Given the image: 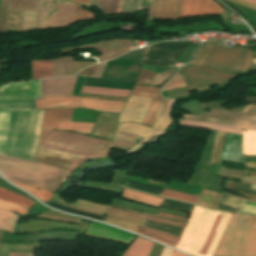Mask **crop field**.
Returning a JSON list of instances; mask_svg holds the SVG:
<instances>
[{"instance_id":"crop-field-1","label":"crop field","mask_w":256,"mask_h":256,"mask_svg":"<svg viewBox=\"0 0 256 256\" xmlns=\"http://www.w3.org/2000/svg\"><path fill=\"white\" fill-rule=\"evenodd\" d=\"M231 215L195 206L176 248L195 256H212Z\"/></svg>"},{"instance_id":"crop-field-2","label":"crop field","mask_w":256,"mask_h":256,"mask_svg":"<svg viewBox=\"0 0 256 256\" xmlns=\"http://www.w3.org/2000/svg\"><path fill=\"white\" fill-rule=\"evenodd\" d=\"M0 171L9 180L53 192L71 176L57 168L2 156Z\"/></svg>"},{"instance_id":"crop-field-3","label":"crop field","mask_w":256,"mask_h":256,"mask_svg":"<svg viewBox=\"0 0 256 256\" xmlns=\"http://www.w3.org/2000/svg\"><path fill=\"white\" fill-rule=\"evenodd\" d=\"M44 110L12 111L5 155L31 160Z\"/></svg>"},{"instance_id":"crop-field-4","label":"crop field","mask_w":256,"mask_h":256,"mask_svg":"<svg viewBox=\"0 0 256 256\" xmlns=\"http://www.w3.org/2000/svg\"><path fill=\"white\" fill-rule=\"evenodd\" d=\"M110 141L94 139L88 136L52 131L40 149L77 156L68 172H72L86 158L105 155Z\"/></svg>"},{"instance_id":"crop-field-5","label":"crop field","mask_w":256,"mask_h":256,"mask_svg":"<svg viewBox=\"0 0 256 256\" xmlns=\"http://www.w3.org/2000/svg\"><path fill=\"white\" fill-rule=\"evenodd\" d=\"M208 43H211L210 47H206ZM252 57L253 51L247 48H226L215 42H206L189 65L228 73H247Z\"/></svg>"},{"instance_id":"crop-field-6","label":"crop field","mask_w":256,"mask_h":256,"mask_svg":"<svg viewBox=\"0 0 256 256\" xmlns=\"http://www.w3.org/2000/svg\"><path fill=\"white\" fill-rule=\"evenodd\" d=\"M41 96V81L0 86V154L4 155L11 109H35L34 100Z\"/></svg>"},{"instance_id":"crop-field-7","label":"crop field","mask_w":256,"mask_h":256,"mask_svg":"<svg viewBox=\"0 0 256 256\" xmlns=\"http://www.w3.org/2000/svg\"><path fill=\"white\" fill-rule=\"evenodd\" d=\"M184 118L185 121L179 120L180 124L215 129L234 134L242 135L241 129L229 126L256 130V106L248 105L243 113L211 110V113H204V115L196 117L184 116Z\"/></svg>"},{"instance_id":"crop-field-8","label":"crop field","mask_w":256,"mask_h":256,"mask_svg":"<svg viewBox=\"0 0 256 256\" xmlns=\"http://www.w3.org/2000/svg\"><path fill=\"white\" fill-rule=\"evenodd\" d=\"M56 1H60L66 4H70L73 5L71 3H67L61 0H56ZM56 1H47V0H41L40 2V10H39V17H38V26H39V30H47L49 28H56V29H60L63 28L65 26L71 25L75 23V5L72 6V8L68 7L70 5H66L60 2H56ZM43 2H49V8H48V13L49 12H53L56 11L58 9H55L56 3H60L63 4V7H68L70 9H66L60 12H56L53 14H49L48 18H46V11H47V6H43ZM44 5H48V3H44ZM62 5L57 4L56 8L61 9ZM80 5L76 4V23L80 20H84L87 18H94L93 14L80 9Z\"/></svg>"},{"instance_id":"crop-field-9","label":"crop field","mask_w":256,"mask_h":256,"mask_svg":"<svg viewBox=\"0 0 256 256\" xmlns=\"http://www.w3.org/2000/svg\"><path fill=\"white\" fill-rule=\"evenodd\" d=\"M79 97L66 95H48L35 100L36 109L41 108H77ZM124 102L100 101L80 97L79 106L97 111L119 113Z\"/></svg>"},{"instance_id":"crop-field-10","label":"crop field","mask_w":256,"mask_h":256,"mask_svg":"<svg viewBox=\"0 0 256 256\" xmlns=\"http://www.w3.org/2000/svg\"><path fill=\"white\" fill-rule=\"evenodd\" d=\"M72 110H45L39 143H42L49 135L51 129L68 130L90 135L94 124L71 122Z\"/></svg>"},{"instance_id":"crop-field-11","label":"crop field","mask_w":256,"mask_h":256,"mask_svg":"<svg viewBox=\"0 0 256 256\" xmlns=\"http://www.w3.org/2000/svg\"><path fill=\"white\" fill-rule=\"evenodd\" d=\"M179 73L186 76L185 81L189 91H202L210 88L209 84L229 83L238 75L223 74L210 69L185 66Z\"/></svg>"},{"instance_id":"crop-field-12","label":"crop field","mask_w":256,"mask_h":256,"mask_svg":"<svg viewBox=\"0 0 256 256\" xmlns=\"http://www.w3.org/2000/svg\"><path fill=\"white\" fill-rule=\"evenodd\" d=\"M250 217L233 214L213 256H236Z\"/></svg>"},{"instance_id":"crop-field-13","label":"crop field","mask_w":256,"mask_h":256,"mask_svg":"<svg viewBox=\"0 0 256 256\" xmlns=\"http://www.w3.org/2000/svg\"><path fill=\"white\" fill-rule=\"evenodd\" d=\"M189 42H162L153 45L141 63L168 66L174 65Z\"/></svg>"},{"instance_id":"crop-field-14","label":"crop field","mask_w":256,"mask_h":256,"mask_svg":"<svg viewBox=\"0 0 256 256\" xmlns=\"http://www.w3.org/2000/svg\"><path fill=\"white\" fill-rule=\"evenodd\" d=\"M229 13V11L213 0H185L181 18L195 15L219 14L223 20L228 21Z\"/></svg>"},{"instance_id":"crop-field-15","label":"crop field","mask_w":256,"mask_h":256,"mask_svg":"<svg viewBox=\"0 0 256 256\" xmlns=\"http://www.w3.org/2000/svg\"><path fill=\"white\" fill-rule=\"evenodd\" d=\"M153 99L144 98V97H136L129 96L125 106L123 107L119 121H134L138 123H142Z\"/></svg>"},{"instance_id":"crop-field-16","label":"crop field","mask_w":256,"mask_h":256,"mask_svg":"<svg viewBox=\"0 0 256 256\" xmlns=\"http://www.w3.org/2000/svg\"><path fill=\"white\" fill-rule=\"evenodd\" d=\"M183 0H152L149 17L180 18Z\"/></svg>"},{"instance_id":"crop-field-17","label":"crop field","mask_w":256,"mask_h":256,"mask_svg":"<svg viewBox=\"0 0 256 256\" xmlns=\"http://www.w3.org/2000/svg\"><path fill=\"white\" fill-rule=\"evenodd\" d=\"M131 95L154 98L150 110L143 122L144 125L151 126L159 112V108L162 103V97L159 93V88L135 86Z\"/></svg>"},{"instance_id":"crop-field-18","label":"crop field","mask_w":256,"mask_h":256,"mask_svg":"<svg viewBox=\"0 0 256 256\" xmlns=\"http://www.w3.org/2000/svg\"><path fill=\"white\" fill-rule=\"evenodd\" d=\"M85 235L114 240L126 244H128L134 236L97 223H91Z\"/></svg>"},{"instance_id":"crop-field-19","label":"crop field","mask_w":256,"mask_h":256,"mask_svg":"<svg viewBox=\"0 0 256 256\" xmlns=\"http://www.w3.org/2000/svg\"><path fill=\"white\" fill-rule=\"evenodd\" d=\"M171 123H172V120L170 119L158 117L152 128L133 124V123H120L118 126V130L147 138L153 135L158 129H162V130L167 129Z\"/></svg>"},{"instance_id":"crop-field-20","label":"crop field","mask_w":256,"mask_h":256,"mask_svg":"<svg viewBox=\"0 0 256 256\" xmlns=\"http://www.w3.org/2000/svg\"><path fill=\"white\" fill-rule=\"evenodd\" d=\"M77 77L42 80V96L47 94L71 95Z\"/></svg>"},{"instance_id":"crop-field-21","label":"crop field","mask_w":256,"mask_h":256,"mask_svg":"<svg viewBox=\"0 0 256 256\" xmlns=\"http://www.w3.org/2000/svg\"><path fill=\"white\" fill-rule=\"evenodd\" d=\"M237 256H256V217L252 216Z\"/></svg>"},{"instance_id":"crop-field-22","label":"crop field","mask_w":256,"mask_h":256,"mask_svg":"<svg viewBox=\"0 0 256 256\" xmlns=\"http://www.w3.org/2000/svg\"><path fill=\"white\" fill-rule=\"evenodd\" d=\"M58 193H55L52 202L60 204L62 206H66V207H70V208H74V209H78V210H82V211H86V212H90V213H94V214H98V215H102L104 216L108 206L107 205H103V204H99V203H94V202H89V201H85V200H80L77 201L73 204H66L64 201H62L59 198Z\"/></svg>"},{"instance_id":"crop-field-23","label":"crop field","mask_w":256,"mask_h":256,"mask_svg":"<svg viewBox=\"0 0 256 256\" xmlns=\"http://www.w3.org/2000/svg\"><path fill=\"white\" fill-rule=\"evenodd\" d=\"M140 220V218L111 212H109L105 218V222L115 224L134 232L136 231Z\"/></svg>"},{"instance_id":"crop-field-24","label":"crop field","mask_w":256,"mask_h":256,"mask_svg":"<svg viewBox=\"0 0 256 256\" xmlns=\"http://www.w3.org/2000/svg\"><path fill=\"white\" fill-rule=\"evenodd\" d=\"M153 242L137 237L123 256H148Z\"/></svg>"},{"instance_id":"crop-field-25","label":"crop field","mask_w":256,"mask_h":256,"mask_svg":"<svg viewBox=\"0 0 256 256\" xmlns=\"http://www.w3.org/2000/svg\"><path fill=\"white\" fill-rule=\"evenodd\" d=\"M120 44L121 41H108L94 45L102 53L99 62L119 56Z\"/></svg>"},{"instance_id":"crop-field-26","label":"crop field","mask_w":256,"mask_h":256,"mask_svg":"<svg viewBox=\"0 0 256 256\" xmlns=\"http://www.w3.org/2000/svg\"><path fill=\"white\" fill-rule=\"evenodd\" d=\"M71 75V56L52 60V78Z\"/></svg>"},{"instance_id":"crop-field-27","label":"crop field","mask_w":256,"mask_h":256,"mask_svg":"<svg viewBox=\"0 0 256 256\" xmlns=\"http://www.w3.org/2000/svg\"><path fill=\"white\" fill-rule=\"evenodd\" d=\"M32 79L51 78V60L34 61L31 63Z\"/></svg>"},{"instance_id":"crop-field-28","label":"crop field","mask_w":256,"mask_h":256,"mask_svg":"<svg viewBox=\"0 0 256 256\" xmlns=\"http://www.w3.org/2000/svg\"><path fill=\"white\" fill-rule=\"evenodd\" d=\"M138 233H141L143 235H146V236H149L155 240H158L164 244H167V245H170V246H173L175 247L177 241L179 238L177 237H173V236H170V235H166V234H163L159 231H155V230H151V229H147V228H144V227H139Z\"/></svg>"},{"instance_id":"crop-field-29","label":"crop field","mask_w":256,"mask_h":256,"mask_svg":"<svg viewBox=\"0 0 256 256\" xmlns=\"http://www.w3.org/2000/svg\"><path fill=\"white\" fill-rule=\"evenodd\" d=\"M123 197L128 198V199H132V200H135V201H139V202H142V203L150 204V205H153V206H157V207H159V205L161 204V202L163 200L161 198H157V197H154V196L142 194V193L135 192V191H132V190H127V189H124Z\"/></svg>"},{"instance_id":"crop-field-30","label":"crop field","mask_w":256,"mask_h":256,"mask_svg":"<svg viewBox=\"0 0 256 256\" xmlns=\"http://www.w3.org/2000/svg\"><path fill=\"white\" fill-rule=\"evenodd\" d=\"M20 216L7 211L0 210V230L14 233L15 224Z\"/></svg>"},{"instance_id":"crop-field-31","label":"crop field","mask_w":256,"mask_h":256,"mask_svg":"<svg viewBox=\"0 0 256 256\" xmlns=\"http://www.w3.org/2000/svg\"><path fill=\"white\" fill-rule=\"evenodd\" d=\"M40 0H9L8 9L38 11Z\"/></svg>"},{"instance_id":"crop-field-32","label":"crop field","mask_w":256,"mask_h":256,"mask_svg":"<svg viewBox=\"0 0 256 256\" xmlns=\"http://www.w3.org/2000/svg\"><path fill=\"white\" fill-rule=\"evenodd\" d=\"M82 92L99 94V95L124 96V97H128L130 93V91L128 90L108 89V88H98V87H88V86H84Z\"/></svg>"},{"instance_id":"crop-field-33","label":"crop field","mask_w":256,"mask_h":256,"mask_svg":"<svg viewBox=\"0 0 256 256\" xmlns=\"http://www.w3.org/2000/svg\"><path fill=\"white\" fill-rule=\"evenodd\" d=\"M0 198L7 200L9 202H12V203L19 204L27 209L34 204V202H32L22 196H19L17 194H14L12 192L6 191L1 188H0Z\"/></svg>"},{"instance_id":"crop-field-34","label":"crop field","mask_w":256,"mask_h":256,"mask_svg":"<svg viewBox=\"0 0 256 256\" xmlns=\"http://www.w3.org/2000/svg\"><path fill=\"white\" fill-rule=\"evenodd\" d=\"M243 154H256V131L243 132Z\"/></svg>"},{"instance_id":"crop-field-35","label":"crop field","mask_w":256,"mask_h":256,"mask_svg":"<svg viewBox=\"0 0 256 256\" xmlns=\"http://www.w3.org/2000/svg\"><path fill=\"white\" fill-rule=\"evenodd\" d=\"M116 132H115V136L114 137L124 138V139H129V140H139L140 139V138H134V137H129V136H125V135H120V134L130 135V134H127V133H124V132H119L118 131L117 133H120V134H116ZM130 136H133V135H130ZM135 137H137V136H135ZM124 139L114 138L112 140L111 145H115V146H119V147L128 149V148H130L132 145H134L137 142V141L124 140ZM115 146H113V147H115ZM126 149H124V150H126Z\"/></svg>"},{"instance_id":"crop-field-36","label":"crop field","mask_w":256,"mask_h":256,"mask_svg":"<svg viewBox=\"0 0 256 256\" xmlns=\"http://www.w3.org/2000/svg\"><path fill=\"white\" fill-rule=\"evenodd\" d=\"M12 182V181H11ZM15 185L23 188L24 190L28 191L29 193H31L32 195H34L35 197H37L39 200L46 202L48 200H50V198L53 196V192H49V191H45V190H41V189H37V188H33V187H29V186H25L19 183H15L12 182Z\"/></svg>"},{"instance_id":"crop-field-37","label":"crop field","mask_w":256,"mask_h":256,"mask_svg":"<svg viewBox=\"0 0 256 256\" xmlns=\"http://www.w3.org/2000/svg\"><path fill=\"white\" fill-rule=\"evenodd\" d=\"M162 196L172 198V199H176V200H180V201L193 203V204L196 203V200L198 198L196 196H192V195H188V194H184V193H179V192H175V191H171V190H167V189L164 190Z\"/></svg>"},{"instance_id":"crop-field-38","label":"crop field","mask_w":256,"mask_h":256,"mask_svg":"<svg viewBox=\"0 0 256 256\" xmlns=\"http://www.w3.org/2000/svg\"><path fill=\"white\" fill-rule=\"evenodd\" d=\"M225 135H226V133L218 132L211 163L219 164Z\"/></svg>"},{"instance_id":"crop-field-39","label":"crop field","mask_w":256,"mask_h":256,"mask_svg":"<svg viewBox=\"0 0 256 256\" xmlns=\"http://www.w3.org/2000/svg\"><path fill=\"white\" fill-rule=\"evenodd\" d=\"M139 1L140 0H119L116 13L138 10Z\"/></svg>"},{"instance_id":"crop-field-40","label":"crop field","mask_w":256,"mask_h":256,"mask_svg":"<svg viewBox=\"0 0 256 256\" xmlns=\"http://www.w3.org/2000/svg\"><path fill=\"white\" fill-rule=\"evenodd\" d=\"M217 193L205 190L203 191L201 197L199 198L197 204L213 208V204L217 198Z\"/></svg>"},{"instance_id":"crop-field-41","label":"crop field","mask_w":256,"mask_h":256,"mask_svg":"<svg viewBox=\"0 0 256 256\" xmlns=\"http://www.w3.org/2000/svg\"><path fill=\"white\" fill-rule=\"evenodd\" d=\"M243 174H244V172H241V171H236V170L220 167L217 176L241 181Z\"/></svg>"},{"instance_id":"crop-field-42","label":"crop field","mask_w":256,"mask_h":256,"mask_svg":"<svg viewBox=\"0 0 256 256\" xmlns=\"http://www.w3.org/2000/svg\"><path fill=\"white\" fill-rule=\"evenodd\" d=\"M118 0H99L98 8L102 9L105 14H113L116 11Z\"/></svg>"},{"instance_id":"crop-field-43","label":"crop field","mask_w":256,"mask_h":256,"mask_svg":"<svg viewBox=\"0 0 256 256\" xmlns=\"http://www.w3.org/2000/svg\"><path fill=\"white\" fill-rule=\"evenodd\" d=\"M184 86L186 85L183 81V76L176 73L175 76L166 83V85L161 89V91L184 87Z\"/></svg>"},{"instance_id":"crop-field-44","label":"crop field","mask_w":256,"mask_h":256,"mask_svg":"<svg viewBox=\"0 0 256 256\" xmlns=\"http://www.w3.org/2000/svg\"><path fill=\"white\" fill-rule=\"evenodd\" d=\"M0 208L2 209H7V210H14L15 212L19 213L20 215L24 216L26 213H28L29 211L16 205V204H12L9 202H6L4 200L0 199Z\"/></svg>"},{"instance_id":"crop-field-45","label":"crop field","mask_w":256,"mask_h":256,"mask_svg":"<svg viewBox=\"0 0 256 256\" xmlns=\"http://www.w3.org/2000/svg\"><path fill=\"white\" fill-rule=\"evenodd\" d=\"M176 70H170L162 73H158L166 78H168L173 72ZM156 74L155 78L153 79L152 83L150 86H161V84L166 80V78Z\"/></svg>"},{"instance_id":"crop-field-46","label":"crop field","mask_w":256,"mask_h":256,"mask_svg":"<svg viewBox=\"0 0 256 256\" xmlns=\"http://www.w3.org/2000/svg\"><path fill=\"white\" fill-rule=\"evenodd\" d=\"M240 213L256 215V203L245 200Z\"/></svg>"},{"instance_id":"crop-field-47","label":"crop field","mask_w":256,"mask_h":256,"mask_svg":"<svg viewBox=\"0 0 256 256\" xmlns=\"http://www.w3.org/2000/svg\"><path fill=\"white\" fill-rule=\"evenodd\" d=\"M108 210H110V211H115V212H119V213H124V214H128V215H132V216H136V217H140V218H144V219H150V220H156V221L167 222V223H171V224H175V225H179V226H183V227L185 226V225H183V224H178V223L168 222V221H164V220L149 218V217H145V216H141V215H137V214H133V213H129V212H124V211H120V210H115V209H111V208H109Z\"/></svg>"},{"instance_id":"crop-field-48","label":"crop field","mask_w":256,"mask_h":256,"mask_svg":"<svg viewBox=\"0 0 256 256\" xmlns=\"http://www.w3.org/2000/svg\"><path fill=\"white\" fill-rule=\"evenodd\" d=\"M106 62L97 64L92 76L100 77Z\"/></svg>"},{"instance_id":"crop-field-49","label":"crop field","mask_w":256,"mask_h":256,"mask_svg":"<svg viewBox=\"0 0 256 256\" xmlns=\"http://www.w3.org/2000/svg\"><path fill=\"white\" fill-rule=\"evenodd\" d=\"M232 1L237 2V3H240V4H242V5H245V6H247V7H250V8H252V9H255V10H256V6L253 5V4L247 3V2L242 1V0H232Z\"/></svg>"},{"instance_id":"crop-field-50","label":"crop field","mask_w":256,"mask_h":256,"mask_svg":"<svg viewBox=\"0 0 256 256\" xmlns=\"http://www.w3.org/2000/svg\"><path fill=\"white\" fill-rule=\"evenodd\" d=\"M159 216H164V217H169V218H174V219H179V220H184L186 221L187 219L185 218H181V217H177V216H173V215H169V214H165V213H158Z\"/></svg>"},{"instance_id":"crop-field-51","label":"crop field","mask_w":256,"mask_h":256,"mask_svg":"<svg viewBox=\"0 0 256 256\" xmlns=\"http://www.w3.org/2000/svg\"><path fill=\"white\" fill-rule=\"evenodd\" d=\"M9 256H34V253H15V252H10Z\"/></svg>"},{"instance_id":"crop-field-52","label":"crop field","mask_w":256,"mask_h":256,"mask_svg":"<svg viewBox=\"0 0 256 256\" xmlns=\"http://www.w3.org/2000/svg\"><path fill=\"white\" fill-rule=\"evenodd\" d=\"M172 253H173L172 250H169V249H167V248H163L162 253H161V256H171Z\"/></svg>"},{"instance_id":"crop-field-53","label":"crop field","mask_w":256,"mask_h":256,"mask_svg":"<svg viewBox=\"0 0 256 256\" xmlns=\"http://www.w3.org/2000/svg\"><path fill=\"white\" fill-rule=\"evenodd\" d=\"M246 167L256 169L255 162H245Z\"/></svg>"},{"instance_id":"crop-field-54","label":"crop field","mask_w":256,"mask_h":256,"mask_svg":"<svg viewBox=\"0 0 256 256\" xmlns=\"http://www.w3.org/2000/svg\"><path fill=\"white\" fill-rule=\"evenodd\" d=\"M72 1L84 4L86 6H89V4H90V0H72Z\"/></svg>"},{"instance_id":"crop-field-55","label":"crop field","mask_w":256,"mask_h":256,"mask_svg":"<svg viewBox=\"0 0 256 256\" xmlns=\"http://www.w3.org/2000/svg\"><path fill=\"white\" fill-rule=\"evenodd\" d=\"M151 0H141L140 6L150 5Z\"/></svg>"},{"instance_id":"crop-field-56","label":"crop field","mask_w":256,"mask_h":256,"mask_svg":"<svg viewBox=\"0 0 256 256\" xmlns=\"http://www.w3.org/2000/svg\"><path fill=\"white\" fill-rule=\"evenodd\" d=\"M245 175L256 176V171L255 172L247 171Z\"/></svg>"},{"instance_id":"crop-field-57","label":"crop field","mask_w":256,"mask_h":256,"mask_svg":"<svg viewBox=\"0 0 256 256\" xmlns=\"http://www.w3.org/2000/svg\"><path fill=\"white\" fill-rule=\"evenodd\" d=\"M243 179L251 180V181H256V178H253V177H244Z\"/></svg>"},{"instance_id":"crop-field-58","label":"crop field","mask_w":256,"mask_h":256,"mask_svg":"<svg viewBox=\"0 0 256 256\" xmlns=\"http://www.w3.org/2000/svg\"><path fill=\"white\" fill-rule=\"evenodd\" d=\"M173 256H185V255H183V254H181V253H178V252H174V254H173Z\"/></svg>"},{"instance_id":"crop-field-59","label":"crop field","mask_w":256,"mask_h":256,"mask_svg":"<svg viewBox=\"0 0 256 256\" xmlns=\"http://www.w3.org/2000/svg\"><path fill=\"white\" fill-rule=\"evenodd\" d=\"M249 71H256V64L252 65Z\"/></svg>"},{"instance_id":"crop-field-60","label":"crop field","mask_w":256,"mask_h":256,"mask_svg":"<svg viewBox=\"0 0 256 256\" xmlns=\"http://www.w3.org/2000/svg\"><path fill=\"white\" fill-rule=\"evenodd\" d=\"M243 182H246V181H243ZM248 183H253L251 188L256 189V183H254V182H248Z\"/></svg>"},{"instance_id":"crop-field-61","label":"crop field","mask_w":256,"mask_h":256,"mask_svg":"<svg viewBox=\"0 0 256 256\" xmlns=\"http://www.w3.org/2000/svg\"><path fill=\"white\" fill-rule=\"evenodd\" d=\"M245 1L250 2V3H253V4L256 5V0H245Z\"/></svg>"},{"instance_id":"crop-field-62","label":"crop field","mask_w":256,"mask_h":256,"mask_svg":"<svg viewBox=\"0 0 256 256\" xmlns=\"http://www.w3.org/2000/svg\"><path fill=\"white\" fill-rule=\"evenodd\" d=\"M1 177V176H0ZM2 178V177H1Z\"/></svg>"}]
</instances>
